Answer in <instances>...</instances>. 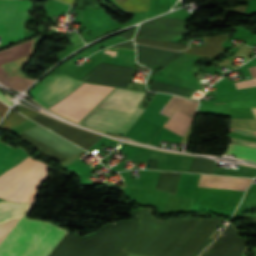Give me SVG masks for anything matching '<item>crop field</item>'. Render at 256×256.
Returning a JSON list of instances; mask_svg holds the SVG:
<instances>
[{"instance_id": "eef30255", "label": "crop field", "mask_w": 256, "mask_h": 256, "mask_svg": "<svg viewBox=\"0 0 256 256\" xmlns=\"http://www.w3.org/2000/svg\"><path fill=\"white\" fill-rule=\"evenodd\" d=\"M248 69H249V71H250L252 77L255 78V77H256V66L250 67V68H248Z\"/></svg>"}, {"instance_id": "d32e631a", "label": "crop field", "mask_w": 256, "mask_h": 256, "mask_svg": "<svg viewBox=\"0 0 256 256\" xmlns=\"http://www.w3.org/2000/svg\"><path fill=\"white\" fill-rule=\"evenodd\" d=\"M197 256H199V254Z\"/></svg>"}, {"instance_id": "ae1a2a85", "label": "crop field", "mask_w": 256, "mask_h": 256, "mask_svg": "<svg viewBox=\"0 0 256 256\" xmlns=\"http://www.w3.org/2000/svg\"><path fill=\"white\" fill-rule=\"evenodd\" d=\"M6 106L2 103H0V116L2 117L3 114L5 113V110H6Z\"/></svg>"}, {"instance_id": "f4fd0767", "label": "crop field", "mask_w": 256, "mask_h": 256, "mask_svg": "<svg viewBox=\"0 0 256 256\" xmlns=\"http://www.w3.org/2000/svg\"><path fill=\"white\" fill-rule=\"evenodd\" d=\"M30 2L0 0V47L23 38Z\"/></svg>"}, {"instance_id": "00972430", "label": "crop field", "mask_w": 256, "mask_h": 256, "mask_svg": "<svg viewBox=\"0 0 256 256\" xmlns=\"http://www.w3.org/2000/svg\"><path fill=\"white\" fill-rule=\"evenodd\" d=\"M229 131L256 137V132H254V131H248V130L233 128V127H231Z\"/></svg>"}, {"instance_id": "dd49c442", "label": "crop field", "mask_w": 256, "mask_h": 256, "mask_svg": "<svg viewBox=\"0 0 256 256\" xmlns=\"http://www.w3.org/2000/svg\"><path fill=\"white\" fill-rule=\"evenodd\" d=\"M81 83L64 75L47 76L29 93L42 105L48 107L69 94Z\"/></svg>"}, {"instance_id": "d8731c3e", "label": "crop field", "mask_w": 256, "mask_h": 256, "mask_svg": "<svg viewBox=\"0 0 256 256\" xmlns=\"http://www.w3.org/2000/svg\"><path fill=\"white\" fill-rule=\"evenodd\" d=\"M186 21L177 18H156L141 24L136 38L152 37L172 40L177 35L188 34L185 29Z\"/></svg>"}, {"instance_id": "a9b5d70f", "label": "crop field", "mask_w": 256, "mask_h": 256, "mask_svg": "<svg viewBox=\"0 0 256 256\" xmlns=\"http://www.w3.org/2000/svg\"><path fill=\"white\" fill-rule=\"evenodd\" d=\"M135 28H136V26L131 28V29H129V30H127V31H125L124 33L118 35V37H122V38H126V39L132 38V36H133V34L135 32Z\"/></svg>"}, {"instance_id": "1d83c4d3", "label": "crop field", "mask_w": 256, "mask_h": 256, "mask_svg": "<svg viewBox=\"0 0 256 256\" xmlns=\"http://www.w3.org/2000/svg\"><path fill=\"white\" fill-rule=\"evenodd\" d=\"M218 233H219V231L214 230V232L212 233V236L216 237Z\"/></svg>"}, {"instance_id": "5142ce71", "label": "crop field", "mask_w": 256, "mask_h": 256, "mask_svg": "<svg viewBox=\"0 0 256 256\" xmlns=\"http://www.w3.org/2000/svg\"><path fill=\"white\" fill-rule=\"evenodd\" d=\"M226 153L235 154L236 157L256 161V148L230 143Z\"/></svg>"}, {"instance_id": "733c2abd", "label": "crop field", "mask_w": 256, "mask_h": 256, "mask_svg": "<svg viewBox=\"0 0 256 256\" xmlns=\"http://www.w3.org/2000/svg\"><path fill=\"white\" fill-rule=\"evenodd\" d=\"M115 1H117L122 7H124L126 11H141V10H148L150 0H115Z\"/></svg>"}, {"instance_id": "cbeb9de0", "label": "crop field", "mask_w": 256, "mask_h": 256, "mask_svg": "<svg viewBox=\"0 0 256 256\" xmlns=\"http://www.w3.org/2000/svg\"><path fill=\"white\" fill-rule=\"evenodd\" d=\"M32 206L33 204L0 201V223L20 215L29 214Z\"/></svg>"}, {"instance_id": "d3111659", "label": "crop field", "mask_w": 256, "mask_h": 256, "mask_svg": "<svg viewBox=\"0 0 256 256\" xmlns=\"http://www.w3.org/2000/svg\"><path fill=\"white\" fill-rule=\"evenodd\" d=\"M129 254L125 253L124 251H120L116 256H128Z\"/></svg>"}, {"instance_id": "bd1437ed", "label": "crop field", "mask_w": 256, "mask_h": 256, "mask_svg": "<svg viewBox=\"0 0 256 256\" xmlns=\"http://www.w3.org/2000/svg\"><path fill=\"white\" fill-rule=\"evenodd\" d=\"M251 109H252L254 117L256 118V108H251Z\"/></svg>"}, {"instance_id": "8a807250", "label": "crop field", "mask_w": 256, "mask_h": 256, "mask_svg": "<svg viewBox=\"0 0 256 256\" xmlns=\"http://www.w3.org/2000/svg\"><path fill=\"white\" fill-rule=\"evenodd\" d=\"M139 211L129 222L108 226L98 234L80 239L49 224L14 218L0 224V256H115L134 232Z\"/></svg>"}, {"instance_id": "d9b57169", "label": "crop field", "mask_w": 256, "mask_h": 256, "mask_svg": "<svg viewBox=\"0 0 256 256\" xmlns=\"http://www.w3.org/2000/svg\"><path fill=\"white\" fill-rule=\"evenodd\" d=\"M136 43L140 44H146V45H152L157 46L161 48H167V49H173V50H183L188 48V45L180 44V43H174V42H167V41H160V40H154V39H136L134 40Z\"/></svg>"}, {"instance_id": "34b2d1b8", "label": "crop field", "mask_w": 256, "mask_h": 256, "mask_svg": "<svg viewBox=\"0 0 256 256\" xmlns=\"http://www.w3.org/2000/svg\"><path fill=\"white\" fill-rule=\"evenodd\" d=\"M52 168L31 156L16 167L0 176V198L15 202L34 203L38 195V185L48 176Z\"/></svg>"}, {"instance_id": "ac0d7876", "label": "crop field", "mask_w": 256, "mask_h": 256, "mask_svg": "<svg viewBox=\"0 0 256 256\" xmlns=\"http://www.w3.org/2000/svg\"><path fill=\"white\" fill-rule=\"evenodd\" d=\"M144 92L115 88L80 123L104 133L122 134L130 128L143 109L137 107Z\"/></svg>"}, {"instance_id": "730fd06b", "label": "crop field", "mask_w": 256, "mask_h": 256, "mask_svg": "<svg viewBox=\"0 0 256 256\" xmlns=\"http://www.w3.org/2000/svg\"><path fill=\"white\" fill-rule=\"evenodd\" d=\"M0 100L5 102L8 105L12 104V102L10 100H8L5 96H3L1 93H0Z\"/></svg>"}, {"instance_id": "214f88e0", "label": "crop field", "mask_w": 256, "mask_h": 256, "mask_svg": "<svg viewBox=\"0 0 256 256\" xmlns=\"http://www.w3.org/2000/svg\"><path fill=\"white\" fill-rule=\"evenodd\" d=\"M237 89L256 86V79L245 80L234 83Z\"/></svg>"}, {"instance_id": "4a817a6b", "label": "crop field", "mask_w": 256, "mask_h": 256, "mask_svg": "<svg viewBox=\"0 0 256 256\" xmlns=\"http://www.w3.org/2000/svg\"><path fill=\"white\" fill-rule=\"evenodd\" d=\"M18 136H20V137L26 139L27 141L33 143L34 145L38 146L40 150L46 152L47 154H49V155L55 157L56 159H58V160H60V161H62V162L65 161L66 159H68V158L62 156L61 154H59V153L53 151L52 149L46 147L45 145L39 143L38 141H36V140L30 138L29 136H27V135H25V134H23V133L19 134ZM26 140H25V141H26Z\"/></svg>"}, {"instance_id": "92a150f3", "label": "crop field", "mask_w": 256, "mask_h": 256, "mask_svg": "<svg viewBox=\"0 0 256 256\" xmlns=\"http://www.w3.org/2000/svg\"><path fill=\"white\" fill-rule=\"evenodd\" d=\"M231 140H232L233 143H238V144H242V145H246V146L256 147V142L237 139V138H233V137H231Z\"/></svg>"}, {"instance_id": "22f410ed", "label": "crop field", "mask_w": 256, "mask_h": 256, "mask_svg": "<svg viewBox=\"0 0 256 256\" xmlns=\"http://www.w3.org/2000/svg\"><path fill=\"white\" fill-rule=\"evenodd\" d=\"M227 34L225 35H217L212 37H205L203 38L206 42L205 46L202 47H190L189 49L183 51L189 54L207 56L215 58L220 52L224 51L225 49L220 45L221 42L226 40Z\"/></svg>"}, {"instance_id": "d1516ede", "label": "crop field", "mask_w": 256, "mask_h": 256, "mask_svg": "<svg viewBox=\"0 0 256 256\" xmlns=\"http://www.w3.org/2000/svg\"><path fill=\"white\" fill-rule=\"evenodd\" d=\"M249 181L246 178L201 175L198 186L245 189Z\"/></svg>"}, {"instance_id": "4177f3b9", "label": "crop field", "mask_w": 256, "mask_h": 256, "mask_svg": "<svg viewBox=\"0 0 256 256\" xmlns=\"http://www.w3.org/2000/svg\"><path fill=\"white\" fill-rule=\"evenodd\" d=\"M116 47H128V48H134L132 41L124 42L121 44L114 45Z\"/></svg>"}, {"instance_id": "412701ff", "label": "crop field", "mask_w": 256, "mask_h": 256, "mask_svg": "<svg viewBox=\"0 0 256 256\" xmlns=\"http://www.w3.org/2000/svg\"><path fill=\"white\" fill-rule=\"evenodd\" d=\"M112 89L103 85L84 83L48 109L78 123Z\"/></svg>"}, {"instance_id": "e52e79f7", "label": "crop field", "mask_w": 256, "mask_h": 256, "mask_svg": "<svg viewBox=\"0 0 256 256\" xmlns=\"http://www.w3.org/2000/svg\"><path fill=\"white\" fill-rule=\"evenodd\" d=\"M31 119L46 126L47 128L53 130L54 132L87 150L102 137L98 134L86 130L71 127L61 121L50 118L41 113L37 114Z\"/></svg>"}, {"instance_id": "750c4746", "label": "crop field", "mask_w": 256, "mask_h": 256, "mask_svg": "<svg viewBox=\"0 0 256 256\" xmlns=\"http://www.w3.org/2000/svg\"><path fill=\"white\" fill-rule=\"evenodd\" d=\"M62 1L67 2V3H69V4H71V5H72V4L74 3V1H75V0H62Z\"/></svg>"}, {"instance_id": "120bbe31", "label": "crop field", "mask_w": 256, "mask_h": 256, "mask_svg": "<svg viewBox=\"0 0 256 256\" xmlns=\"http://www.w3.org/2000/svg\"><path fill=\"white\" fill-rule=\"evenodd\" d=\"M129 256H133V255H129Z\"/></svg>"}, {"instance_id": "28ad6ade", "label": "crop field", "mask_w": 256, "mask_h": 256, "mask_svg": "<svg viewBox=\"0 0 256 256\" xmlns=\"http://www.w3.org/2000/svg\"><path fill=\"white\" fill-rule=\"evenodd\" d=\"M29 155L21 147L16 149L0 141V175L16 166Z\"/></svg>"}, {"instance_id": "dafd665d", "label": "crop field", "mask_w": 256, "mask_h": 256, "mask_svg": "<svg viewBox=\"0 0 256 256\" xmlns=\"http://www.w3.org/2000/svg\"><path fill=\"white\" fill-rule=\"evenodd\" d=\"M15 108L18 109L20 112H22L23 114H25L29 118L38 113V112H35L33 110H30V109H27V108H24V107H21V106H16Z\"/></svg>"}, {"instance_id": "5a996713", "label": "crop field", "mask_w": 256, "mask_h": 256, "mask_svg": "<svg viewBox=\"0 0 256 256\" xmlns=\"http://www.w3.org/2000/svg\"><path fill=\"white\" fill-rule=\"evenodd\" d=\"M182 100H183V98L172 96L171 99L168 101V103L165 105V107L162 109L161 113L170 116L174 112V110L178 107V105L181 103ZM197 103L198 102H192V101L184 99L177 109L194 117L195 112H196ZM169 119L188 128L193 118L176 110L174 112V114ZM169 119L165 123L164 127L170 129L171 131L175 132L176 134H178L180 136H183V134L187 128H185Z\"/></svg>"}, {"instance_id": "bc2a9ffb", "label": "crop field", "mask_w": 256, "mask_h": 256, "mask_svg": "<svg viewBox=\"0 0 256 256\" xmlns=\"http://www.w3.org/2000/svg\"><path fill=\"white\" fill-rule=\"evenodd\" d=\"M19 115L11 111L10 114L6 117V119L2 122L0 127L9 129V128H12L15 125L27 120V119L21 117L22 115L21 116H19Z\"/></svg>"}, {"instance_id": "3316defc", "label": "crop field", "mask_w": 256, "mask_h": 256, "mask_svg": "<svg viewBox=\"0 0 256 256\" xmlns=\"http://www.w3.org/2000/svg\"><path fill=\"white\" fill-rule=\"evenodd\" d=\"M32 41L33 40L21 45L12 47L10 49L1 51L0 64L26 55L30 50ZM0 81L9 87L16 88L19 90H24L31 82H33V80H29L19 76L9 78L1 68H0Z\"/></svg>"}]
</instances>
